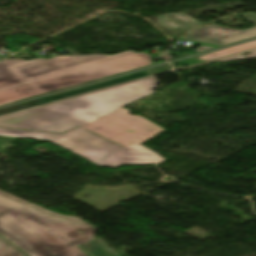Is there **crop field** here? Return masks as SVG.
I'll return each mask as SVG.
<instances>
[{"label": "crop field", "mask_w": 256, "mask_h": 256, "mask_svg": "<svg viewBox=\"0 0 256 256\" xmlns=\"http://www.w3.org/2000/svg\"><path fill=\"white\" fill-rule=\"evenodd\" d=\"M158 81L147 79L42 108L0 118V126L63 133L64 135L0 128V136L49 140L98 166L147 165L165 161L140 145L165 131L150 121L129 115L122 106L153 93Z\"/></svg>", "instance_id": "1"}, {"label": "crop field", "mask_w": 256, "mask_h": 256, "mask_svg": "<svg viewBox=\"0 0 256 256\" xmlns=\"http://www.w3.org/2000/svg\"><path fill=\"white\" fill-rule=\"evenodd\" d=\"M150 55L58 56L0 62V105L150 65Z\"/></svg>", "instance_id": "2"}, {"label": "crop field", "mask_w": 256, "mask_h": 256, "mask_svg": "<svg viewBox=\"0 0 256 256\" xmlns=\"http://www.w3.org/2000/svg\"><path fill=\"white\" fill-rule=\"evenodd\" d=\"M96 229L78 218L0 197V235L29 256H86L75 245L92 239Z\"/></svg>", "instance_id": "3"}, {"label": "crop field", "mask_w": 256, "mask_h": 256, "mask_svg": "<svg viewBox=\"0 0 256 256\" xmlns=\"http://www.w3.org/2000/svg\"><path fill=\"white\" fill-rule=\"evenodd\" d=\"M239 16L256 25V14L241 13ZM256 37V28L241 31L224 27L208 25L192 30L183 39L205 42L217 45H225L249 38Z\"/></svg>", "instance_id": "4"}, {"label": "crop field", "mask_w": 256, "mask_h": 256, "mask_svg": "<svg viewBox=\"0 0 256 256\" xmlns=\"http://www.w3.org/2000/svg\"><path fill=\"white\" fill-rule=\"evenodd\" d=\"M145 76H149V74H147L145 71H143V72L135 73V74L128 75V76H125V77H122V78H118V79H114V80H110V81L90 85V86H87V87H83V88H80V89H76V90L66 92V93H63V94H59V95H56V96L44 97V98H40L38 100H34V101H30V102H26V103L14 105V106L2 108V109H0V115L15 112V111L22 110V109H25V108H29V107H32V106H36V105H39V104L47 103V102H50V101H53V100H57V99H61V98H65V97H69V96H73V95H77V94H81V93H85V92H89V91L109 87V86H112V85H116V84H120V83H123V82L131 81V80L138 79V78L145 77Z\"/></svg>", "instance_id": "5"}, {"label": "crop field", "mask_w": 256, "mask_h": 256, "mask_svg": "<svg viewBox=\"0 0 256 256\" xmlns=\"http://www.w3.org/2000/svg\"><path fill=\"white\" fill-rule=\"evenodd\" d=\"M179 14L185 16L184 18L179 16ZM168 15L175 16L173 18L168 17ZM159 25L163 26L168 30H178V29H191L198 25L203 24L202 22L182 13H171L166 15L158 16Z\"/></svg>", "instance_id": "6"}, {"label": "crop field", "mask_w": 256, "mask_h": 256, "mask_svg": "<svg viewBox=\"0 0 256 256\" xmlns=\"http://www.w3.org/2000/svg\"><path fill=\"white\" fill-rule=\"evenodd\" d=\"M254 47H256V41L249 42V43L242 44V45H238V46L231 47V48H228V49H224L222 51L211 53V54H208V55L200 56L198 58V60L209 61V60L217 58V57H221V56H225V55H228V54L240 52V51L251 49V48H254Z\"/></svg>", "instance_id": "7"}, {"label": "crop field", "mask_w": 256, "mask_h": 256, "mask_svg": "<svg viewBox=\"0 0 256 256\" xmlns=\"http://www.w3.org/2000/svg\"><path fill=\"white\" fill-rule=\"evenodd\" d=\"M0 256H28L24 251L17 248L0 236Z\"/></svg>", "instance_id": "8"}, {"label": "crop field", "mask_w": 256, "mask_h": 256, "mask_svg": "<svg viewBox=\"0 0 256 256\" xmlns=\"http://www.w3.org/2000/svg\"><path fill=\"white\" fill-rule=\"evenodd\" d=\"M84 249H86L88 252H90L94 256H119L113 253H110L104 249H102V244L94 241L93 239L87 243H84L80 245Z\"/></svg>", "instance_id": "9"}, {"label": "crop field", "mask_w": 256, "mask_h": 256, "mask_svg": "<svg viewBox=\"0 0 256 256\" xmlns=\"http://www.w3.org/2000/svg\"><path fill=\"white\" fill-rule=\"evenodd\" d=\"M201 62H204V61H197V60H194V59H188V60L176 62V63H174V64L190 66V65H194V64L201 63Z\"/></svg>", "instance_id": "10"}, {"label": "crop field", "mask_w": 256, "mask_h": 256, "mask_svg": "<svg viewBox=\"0 0 256 256\" xmlns=\"http://www.w3.org/2000/svg\"><path fill=\"white\" fill-rule=\"evenodd\" d=\"M251 58H256V52H253L252 55L249 57H244V56L240 55V56H236V57L229 58V59L222 60V61H235V60H243V59H251Z\"/></svg>", "instance_id": "11"}, {"label": "crop field", "mask_w": 256, "mask_h": 256, "mask_svg": "<svg viewBox=\"0 0 256 256\" xmlns=\"http://www.w3.org/2000/svg\"><path fill=\"white\" fill-rule=\"evenodd\" d=\"M0 195L3 196V197H5V198H8V199L14 200V201H16V202L22 203V204L27 203L26 201L17 199V198H15V197H13V196H11V195L5 193V192H2V191H0Z\"/></svg>", "instance_id": "12"}]
</instances>
